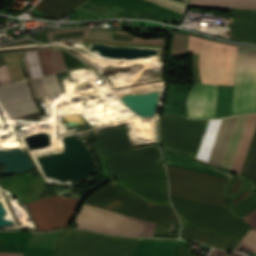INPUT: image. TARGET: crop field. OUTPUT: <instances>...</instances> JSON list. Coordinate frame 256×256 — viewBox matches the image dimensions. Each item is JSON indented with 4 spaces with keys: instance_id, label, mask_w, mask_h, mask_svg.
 <instances>
[{
    "instance_id": "19",
    "label": "crop field",
    "mask_w": 256,
    "mask_h": 256,
    "mask_svg": "<svg viewBox=\"0 0 256 256\" xmlns=\"http://www.w3.org/2000/svg\"><path fill=\"white\" fill-rule=\"evenodd\" d=\"M189 84H169L161 115H182Z\"/></svg>"
},
{
    "instance_id": "2",
    "label": "crop field",
    "mask_w": 256,
    "mask_h": 256,
    "mask_svg": "<svg viewBox=\"0 0 256 256\" xmlns=\"http://www.w3.org/2000/svg\"><path fill=\"white\" fill-rule=\"evenodd\" d=\"M138 239L65 230L54 256H131ZM178 241L140 238L132 256H173ZM188 248L178 246L174 256H193L187 253Z\"/></svg>"
},
{
    "instance_id": "4",
    "label": "crop field",
    "mask_w": 256,
    "mask_h": 256,
    "mask_svg": "<svg viewBox=\"0 0 256 256\" xmlns=\"http://www.w3.org/2000/svg\"><path fill=\"white\" fill-rule=\"evenodd\" d=\"M110 178L124 173L152 170L161 162L158 146L132 151L126 128L99 133Z\"/></svg>"
},
{
    "instance_id": "23",
    "label": "crop field",
    "mask_w": 256,
    "mask_h": 256,
    "mask_svg": "<svg viewBox=\"0 0 256 256\" xmlns=\"http://www.w3.org/2000/svg\"><path fill=\"white\" fill-rule=\"evenodd\" d=\"M246 0H224L223 6L244 7ZM221 0H193L191 5L220 6ZM248 7H256V0H249Z\"/></svg>"
},
{
    "instance_id": "20",
    "label": "crop field",
    "mask_w": 256,
    "mask_h": 256,
    "mask_svg": "<svg viewBox=\"0 0 256 256\" xmlns=\"http://www.w3.org/2000/svg\"><path fill=\"white\" fill-rule=\"evenodd\" d=\"M181 238L205 242L220 249H233L238 241L182 228Z\"/></svg>"
},
{
    "instance_id": "7",
    "label": "crop field",
    "mask_w": 256,
    "mask_h": 256,
    "mask_svg": "<svg viewBox=\"0 0 256 256\" xmlns=\"http://www.w3.org/2000/svg\"><path fill=\"white\" fill-rule=\"evenodd\" d=\"M200 52L202 83L233 85L237 47L189 35L187 53Z\"/></svg>"
},
{
    "instance_id": "30",
    "label": "crop field",
    "mask_w": 256,
    "mask_h": 256,
    "mask_svg": "<svg viewBox=\"0 0 256 256\" xmlns=\"http://www.w3.org/2000/svg\"><path fill=\"white\" fill-rule=\"evenodd\" d=\"M225 253V251L213 250L208 256H223Z\"/></svg>"
},
{
    "instance_id": "11",
    "label": "crop field",
    "mask_w": 256,
    "mask_h": 256,
    "mask_svg": "<svg viewBox=\"0 0 256 256\" xmlns=\"http://www.w3.org/2000/svg\"><path fill=\"white\" fill-rule=\"evenodd\" d=\"M207 120L194 121L182 117H161V144L196 156Z\"/></svg>"
},
{
    "instance_id": "31",
    "label": "crop field",
    "mask_w": 256,
    "mask_h": 256,
    "mask_svg": "<svg viewBox=\"0 0 256 256\" xmlns=\"http://www.w3.org/2000/svg\"><path fill=\"white\" fill-rule=\"evenodd\" d=\"M22 253H0V256H21Z\"/></svg>"
},
{
    "instance_id": "25",
    "label": "crop field",
    "mask_w": 256,
    "mask_h": 256,
    "mask_svg": "<svg viewBox=\"0 0 256 256\" xmlns=\"http://www.w3.org/2000/svg\"><path fill=\"white\" fill-rule=\"evenodd\" d=\"M240 246L256 253V231L251 229L247 233V235L240 241L234 251H238Z\"/></svg>"
},
{
    "instance_id": "21",
    "label": "crop field",
    "mask_w": 256,
    "mask_h": 256,
    "mask_svg": "<svg viewBox=\"0 0 256 256\" xmlns=\"http://www.w3.org/2000/svg\"><path fill=\"white\" fill-rule=\"evenodd\" d=\"M84 1L85 0H40V3L47 5L49 7H52L56 10H59L63 13H66L70 10H73L74 8H76L79 4H81ZM40 3H38L34 7V9L44 12L46 14H49L51 16H54L56 18H59L63 14L59 11L51 9L47 6L40 4Z\"/></svg>"
},
{
    "instance_id": "6",
    "label": "crop field",
    "mask_w": 256,
    "mask_h": 256,
    "mask_svg": "<svg viewBox=\"0 0 256 256\" xmlns=\"http://www.w3.org/2000/svg\"><path fill=\"white\" fill-rule=\"evenodd\" d=\"M166 168L170 195L228 208L224 194L228 179L169 165Z\"/></svg>"
},
{
    "instance_id": "3",
    "label": "crop field",
    "mask_w": 256,
    "mask_h": 256,
    "mask_svg": "<svg viewBox=\"0 0 256 256\" xmlns=\"http://www.w3.org/2000/svg\"><path fill=\"white\" fill-rule=\"evenodd\" d=\"M182 227L239 240L249 229L229 209L170 196Z\"/></svg>"
},
{
    "instance_id": "24",
    "label": "crop field",
    "mask_w": 256,
    "mask_h": 256,
    "mask_svg": "<svg viewBox=\"0 0 256 256\" xmlns=\"http://www.w3.org/2000/svg\"><path fill=\"white\" fill-rule=\"evenodd\" d=\"M234 215L237 217H244L254 209H256V195L250 197L249 199L243 201L237 206L231 208Z\"/></svg>"
},
{
    "instance_id": "22",
    "label": "crop field",
    "mask_w": 256,
    "mask_h": 256,
    "mask_svg": "<svg viewBox=\"0 0 256 256\" xmlns=\"http://www.w3.org/2000/svg\"><path fill=\"white\" fill-rule=\"evenodd\" d=\"M240 176L251 181L256 188V130L250 144Z\"/></svg>"
},
{
    "instance_id": "12",
    "label": "crop field",
    "mask_w": 256,
    "mask_h": 256,
    "mask_svg": "<svg viewBox=\"0 0 256 256\" xmlns=\"http://www.w3.org/2000/svg\"><path fill=\"white\" fill-rule=\"evenodd\" d=\"M40 231L67 226L77 209L74 198L53 196L28 202Z\"/></svg>"
},
{
    "instance_id": "28",
    "label": "crop field",
    "mask_w": 256,
    "mask_h": 256,
    "mask_svg": "<svg viewBox=\"0 0 256 256\" xmlns=\"http://www.w3.org/2000/svg\"><path fill=\"white\" fill-rule=\"evenodd\" d=\"M245 219L252 227L256 228V210L245 216Z\"/></svg>"
},
{
    "instance_id": "10",
    "label": "crop field",
    "mask_w": 256,
    "mask_h": 256,
    "mask_svg": "<svg viewBox=\"0 0 256 256\" xmlns=\"http://www.w3.org/2000/svg\"><path fill=\"white\" fill-rule=\"evenodd\" d=\"M21 54L22 51L1 54L15 84L25 82L18 63ZM0 103L11 117L41 116L25 83L0 88Z\"/></svg>"
},
{
    "instance_id": "16",
    "label": "crop field",
    "mask_w": 256,
    "mask_h": 256,
    "mask_svg": "<svg viewBox=\"0 0 256 256\" xmlns=\"http://www.w3.org/2000/svg\"><path fill=\"white\" fill-rule=\"evenodd\" d=\"M236 117L210 121L199 158L221 165Z\"/></svg>"
},
{
    "instance_id": "27",
    "label": "crop field",
    "mask_w": 256,
    "mask_h": 256,
    "mask_svg": "<svg viewBox=\"0 0 256 256\" xmlns=\"http://www.w3.org/2000/svg\"><path fill=\"white\" fill-rule=\"evenodd\" d=\"M150 1L175 9L180 12H183L184 6H185L184 4H181L173 0H150Z\"/></svg>"
},
{
    "instance_id": "17",
    "label": "crop field",
    "mask_w": 256,
    "mask_h": 256,
    "mask_svg": "<svg viewBox=\"0 0 256 256\" xmlns=\"http://www.w3.org/2000/svg\"><path fill=\"white\" fill-rule=\"evenodd\" d=\"M231 39L256 42V11L235 10Z\"/></svg>"
},
{
    "instance_id": "1",
    "label": "crop field",
    "mask_w": 256,
    "mask_h": 256,
    "mask_svg": "<svg viewBox=\"0 0 256 256\" xmlns=\"http://www.w3.org/2000/svg\"><path fill=\"white\" fill-rule=\"evenodd\" d=\"M217 85L195 84L187 98L190 119L214 118ZM233 86L218 85L215 118L230 115ZM256 112V50L238 48L231 115Z\"/></svg>"
},
{
    "instance_id": "5",
    "label": "crop field",
    "mask_w": 256,
    "mask_h": 256,
    "mask_svg": "<svg viewBox=\"0 0 256 256\" xmlns=\"http://www.w3.org/2000/svg\"><path fill=\"white\" fill-rule=\"evenodd\" d=\"M78 8L103 18L126 17L179 23L182 14L146 0H88ZM76 8L77 20L101 18Z\"/></svg>"
},
{
    "instance_id": "34",
    "label": "crop field",
    "mask_w": 256,
    "mask_h": 256,
    "mask_svg": "<svg viewBox=\"0 0 256 256\" xmlns=\"http://www.w3.org/2000/svg\"><path fill=\"white\" fill-rule=\"evenodd\" d=\"M1 42V41H0Z\"/></svg>"
},
{
    "instance_id": "26",
    "label": "crop field",
    "mask_w": 256,
    "mask_h": 256,
    "mask_svg": "<svg viewBox=\"0 0 256 256\" xmlns=\"http://www.w3.org/2000/svg\"><path fill=\"white\" fill-rule=\"evenodd\" d=\"M66 52L63 50L67 71L81 68L78 59Z\"/></svg>"
},
{
    "instance_id": "33",
    "label": "crop field",
    "mask_w": 256,
    "mask_h": 256,
    "mask_svg": "<svg viewBox=\"0 0 256 256\" xmlns=\"http://www.w3.org/2000/svg\"><path fill=\"white\" fill-rule=\"evenodd\" d=\"M177 1H180V2H182V3H187V0H177Z\"/></svg>"
},
{
    "instance_id": "9",
    "label": "crop field",
    "mask_w": 256,
    "mask_h": 256,
    "mask_svg": "<svg viewBox=\"0 0 256 256\" xmlns=\"http://www.w3.org/2000/svg\"><path fill=\"white\" fill-rule=\"evenodd\" d=\"M75 222L78 228L103 233L152 237L155 224L83 204Z\"/></svg>"
},
{
    "instance_id": "15",
    "label": "crop field",
    "mask_w": 256,
    "mask_h": 256,
    "mask_svg": "<svg viewBox=\"0 0 256 256\" xmlns=\"http://www.w3.org/2000/svg\"><path fill=\"white\" fill-rule=\"evenodd\" d=\"M255 126L256 114L238 116L222 168L240 174Z\"/></svg>"
},
{
    "instance_id": "32",
    "label": "crop field",
    "mask_w": 256,
    "mask_h": 256,
    "mask_svg": "<svg viewBox=\"0 0 256 256\" xmlns=\"http://www.w3.org/2000/svg\"><path fill=\"white\" fill-rule=\"evenodd\" d=\"M231 256H242V255L237 254V253H232V252H231ZM244 256H245V255H244Z\"/></svg>"
},
{
    "instance_id": "13",
    "label": "crop field",
    "mask_w": 256,
    "mask_h": 256,
    "mask_svg": "<svg viewBox=\"0 0 256 256\" xmlns=\"http://www.w3.org/2000/svg\"><path fill=\"white\" fill-rule=\"evenodd\" d=\"M38 53L40 60L56 58L53 49L41 50L38 51ZM56 54L60 70H66L62 51H56ZM27 56L28 59H25L23 62L38 60L35 52L27 53ZM40 63L44 75L53 74V72L59 71L56 60L44 61ZM24 67L28 77L42 75L38 62L24 64ZM28 81L34 96L62 91L55 76L31 79Z\"/></svg>"
},
{
    "instance_id": "14",
    "label": "crop field",
    "mask_w": 256,
    "mask_h": 256,
    "mask_svg": "<svg viewBox=\"0 0 256 256\" xmlns=\"http://www.w3.org/2000/svg\"><path fill=\"white\" fill-rule=\"evenodd\" d=\"M114 182L120 183L152 203L170 205L163 164L153 172L129 174Z\"/></svg>"
},
{
    "instance_id": "29",
    "label": "crop field",
    "mask_w": 256,
    "mask_h": 256,
    "mask_svg": "<svg viewBox=\"0 0 256 256\" xmlns=\"http://www.w3.org/2000/svg\"><path fill=\"white\" fill-rule=\"evenodd\" d=\"M116 40H133V37L124 32L116 31Z\"/></svg>"
},
{
    "instance_id": "18",
    "label": "crop field",
    "mask_w": 256,
    "mask_h": 256,
    "mask_svg": "<svg viewBox=\"0 0 256 256\" xmlns=\"http://www.w3.org/2000/svg\"><path fill=\"white\" fill-rule=\"evenodd\" d=\"M164 154H165L167 164H171V165H175V166H179V167H183V168H187L195 171H200V172H204V173H208V174H212V175H216V176H220L228 179H231L234 176L226 171H222V170L210 167L186 155L172 152L165 148H164Z\"/></svg>"
},
{
    "instance_id": "8",
    "label": "crop field",
    "mask_w": 256,
    "mask_h": 256,
    "mask_svg": "<svg viewBox=\"0 0 256 256\" xmlns=\"http://www.w3.org/2000/svg\"><path fill=\"white\" fill-rule=\"evenodd\" d=\"M86 201L112 211L153 222L156 219L179 221L171 207L152 205L109 184L88 196Z\"/></svg>"
}]
</instances>
